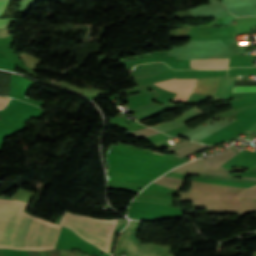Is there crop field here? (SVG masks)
<instances>
[{
  "instance_id": "crop-field-11",
  "label": "crop field",
  "mask_w": 256,
  "mask_h": 256,
  "mask_svg": "<svg viewBox=\"0 0 256 256\" xmlns=\"http://www.w3.org/2000/svg\"><path fill=\"white\" fill-rule=\"evenodd\" d=\"M28 256H39L38 251H27Z\"/></svg>"
},
{
  "instance_id": "crop-field-1",
  "label": "crop field",
  "mask_w": 256,
  "mask_h": 256,
  "mask_svg": "<svg viewBox=\"0 0 256 256\" xmlns=\"http://www.w3.org/2000/svg\"><path fill=\"white\" fill-rule=\"evenodd\" d=\"M26 206L23 202L0 198V248H16ZM60 227L25 214L16 249L52 248Z\"/></svg>"
},
{
  "instance_id": "crop-field-2",
  "label": "crop field",
  "mask_w": 256,
  "mask_h": 256,
  "mask_svg": "<svg viewBox=\"0 0 256 256\" xmlns=\"http://www.w3.org/2000/svg\"><path fill=\"white\" fill-rule=\"evenodd\" d=\"M117 220L83 217L65 212L59 224L71 228L86 241L108 252L113 228Z\"/></svg>"
},
{
  "instance_id": "crop-field-8",
  "label": "crop field",
  "mask_w": 256,
  "mask_h": 256,
  "mask_svg": "<svg viewBox=\"0 0 256 256\" xmlns=\"http://www.w3.org/2000/svg\"><path fill=\"white\" fill-rule=\"evenodd\" d=\"M11 29L10 28H0V37H5L10 35Z\"/></svg>"
},
{
  "instance_id": "crop-field-9",
  "label": "crop field",
  "mask_w": 256,
  "mask_h": 256,
  "mask_svg": "<svg viewBox=\"0 0 256 256\" xmlns=\"http://www.w3.org/2000/svg\"><path fill=\"white\" fill-rule=\"evenodd\" d=\"M8 102L7 98L0 97V109H2Z\"/></svg>"
},
{
  "instance_id": "crop-field-3",
  "label": "crop field",
  "mask_w": 256,
  "mask_h": 256,
  "mask_svg": "<svg viewBox=\"0 0 256 256\" xmlns=\"http://www.w3.org/2000/svg\"><path fill=\"white\" fill-rule=\"evenodd\" d=\"M197 79H169L154 83L161 88L177 93L174 100L186 101Z\"/></svg>"
},
{
  "instance_id": "crop-field-6",
  "label": "crop field",
  "mask_w": 256,
  "mask_h": 256,
  "mask_svg": "<svg viewBox=\"0 0 256 256\" xmlns=\"http://www.w3.org/2000/svg\"><path fill=\"white\" fill-rule=\"evenodd\" d=\"M8 0H0V14L4 10ZM16 19H0V27H8L10 22H14Z\"/></svg>"
},
{
  "instance_id": "crop-field-7",
  "label": "crop field",
  "mask_w": 256,
  "mask_h": 256,
  "mask_svg": "<svg viewBox=\"0 0 256 256\" xmlns=\"http://www.w3.org/2000/svg\"><path fill=\"white\" fill-rule=\"evenodd\" d=\"M253 91H256V86H251V87H233L232 93L253 92Z\"/></svg>"
},
{
  "instance_id": "crop-field-4",
  "label": "crop field",
  "mask_w": 256,
  "mask_h": 256,
  "mask_svg": "<svg viewBox=\"0 0 256 256\" xmlns=\"http://www.w3.org/2000/svg\"><path fill=\"white\" fill-rule=\"evenodd\" d=\"M233 82L228 76L219 77L213 96L219 100L229 99ZM194 92L196 93L197 90H194Z\"/></svg>"
},
{
  "instance_id": "crop-field-5",
  "label": "crop field",
  "mask_w": 256,
  "mask_h": 256,
  "mask_svg": "<svg viewBox=\"0 0 256 256\" xmlns=\"http://www.w3.org/2000/svg\"><path fill=\"white\" fill-rule=\"evenodd\" d=\"M228 61L229 59L191 60L190 67H197V69H225L228 68Z\"/></svg>"
},
{
  "instance_id": "crop-field-10",
  "label": "crop field",
  "mask_w": 256,
  "mask_h": 256,
  "mask_svg": "<svg viewBox=\"0 0 256 256\" xmlns=\"http://www.w3.org/2000/svg\"><path fill=\"white\" fill-rule=\"evenodd\" d=\"M61 250H50L51 256H61Z\"/></svg>"
}]
</instances>
